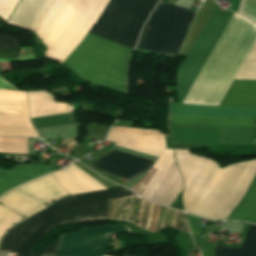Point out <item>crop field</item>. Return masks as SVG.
Wrapping results in <instances>:
<instances>
[{"instance_id":"1","label":"crop field","mask_w":256,"mask_h":256,"mask_svg":"<svg viewBox=\"0 0 256 256\" xmlns=\"http://www.w3.org/2000/svg\"><path fill=\"white\" fill-rule=\"evenodd\" d=\"M157 1L111 0L89 33L132 50ZM89 33L63 63L93 83L125 93L132 51Z\"/></svg>"},{"instance_id":"2","label":"crop field","mask_w":256,"mask_h":256,"mask_svg":"<svg viewBox=\"0 0 256 256\" xmlns=\"http://www.w3.org/2000/svg\"><path fill=\"white\" fill-rule=\"evenodd\" d=\"M175 157L184 179L185 211L209 219H226L256 173V160L219 169L189 150H175Z\"/></svg>"},{"instance_id":"3","label":"crop field","mask_w":256,"mask_h":256,"mask_svg":"<svg viewBox=\"0 0 256 256\" xmlns=\"http://www.w3.org/2000/svg\"><path fill=\"white\" fill-rule=\"evenodd\" d=\"M119 187L95 191L62 199L44 211L12 228L3 238L0 252L17 253V256L55 255L60 237L42 251L30 253L34 245L58 225L108 220L110 200L133 195Z\"/></svg>"},{"instance_id":"4","label":"crop field","mask_w":256,"mask_h":256,"mask_svg":"<svg viewBox=\"0 0 256 256\" xmlns=\"http://www.w3.org/2000/svg\"><path fill=\"white\" fill-rule=\"evenodd\" d=\"M256 40V28L232 15L183 103L219 105Z\"/></svg>"},{"instance_id":"5","label":"crop field","mask_w":256,"mask_h":256,"mask_svg":"<svg viewBox=\"0 0 256 256\" xmlns=\"http://www.w3.org/2000/svg\"><path fill=\"white\" fill-rule=\"evenodd\" d=\"M109 0H55L36 34L52 50L49 58L62 62L81 42Z\"/></svg>"},{"instance_id":"6","label":"crop field","mask_w":256,"mask_h":256,"mask_svg":"<svg viewBox=\"0 0 256 256\" xmlns=\"http://www.w3.org/2000/svg\"><path fill=\"white\" fill-rule=\"evenodd\" d=\"M195 15L188 9L159 2L153 10L136 49L176 55Z\"/></svg>"},{"instance_id":"7","label":"crop field","mask_w":256,"mask_h":256,"mask_svg":"<svg viewBox=\"0 0 256 256\" xmlns=\"http://www.w3.org/2000/svg\"><path fill=\"white\" fill-rule=\"evenodd\" d=\"M68 195L51 174L3 195L0 198V237L16 222L42 210L51 201Z\"/></svg>"},{"instance_id":"8","label":"crop field","mask_w":256,"mask_h":256,"mask_svg":"<svg viewBox=\"0 0 256 256\" xmlns=\"http://www.w3.org/2000/svg\"><path fill=\"white\" fill-rule=\"evenodd\" d=\"M228 21L229 18L213 13L210 15L177 75L180 103H182Z\"/></svg>"},{"instance_id":"9","label":"crop field","mask_w":256,"mask_h":256,"mask_svg":"<svg viewBox=\"0 0 256 256\" xmlns=\"http://www.w3.org/2000/svg\"><path fill=\"white\" fill-rule=\"evenodd\" d=\"M130 232L126 225L89 227L62 235L55 256H103L106 254L110 234Z\"/></svg>"},{"instance_id":"10","label":"crop field","mask_w":256,"mask_h":256,"mask_svg":"<svg viewBox=\"0 0 256 256\" xmlns=\"http://www.w3.org/2000/svg\"><path fill=\"white\" fill-rule=\"evenodd\" d=\"M106 140L115 142L116 146L157 157L161 148H166L163 136L157 130L112 126Z\"/></svg>"},{"instance_id":"11","label":"crop field","mask_w":256,"mask_h":256,"mask_svg":"<svg viewBox=\"0 0 256 256\" xmlns=\"http://www.w3.org/2000/svg\"><path fill=\"white\" fill-rule=\"evenodd\" d=\"M153 164L154 161L114 150L90 166L130 180L149 169Z\"/></svg>"},{"instance_id":"12","label":"crop field","mask_w":256,"mask_h":256,"mask_svg":"<svg viewBox=\"0 0 256 256\" xmlns=\"http://www.w3.org/2000/svg\"><path fill=\"white\" fill-rule=\"evenodd\" d=\"M169 113L205 117H256V107H223L170 104Z\"/></svg>"},{"instance_id":"13","label":"crop field","mask_w":256,"mask_h":256,"mask_svg":"<svg viewBox=\"0 0 256 256\" xmlns=\"http://www.w3.org/2000/svg\"><path fill=\"white\" fill-rule=\"evenodd\" d=\"M256 118H205L169 114L168 124L204 128H255Z\"/></svg>"},{"instance_id":"14","label":"crop field","mask_w":256,"mask_h":256,"mask_svg":"<svg viewBox=\"0 0 256 256\" xmlns=\"http://www.w3.org/2000/svg\"><path fill=\"white\" fill-rule=\"evenodd\" d=\"M58 169L51 165L21 164L6 171L0 168V196L7 190Z\"/></svg>"},{"instance_id":"15","label":"crop field","mask_w":256,"mask_h":256,"mask_svg":"<svg viewBox=\"0 0 256 256\" xmlns=\"http://www.w3.org/2000/svg\"><path fill=\"white\" fill-rule=\"evenodd\" d=\"M52 175L70 195L105 189L73 164L62 171L52 173Z\"/></svg>"},{"instance_id":"16","label":"crop field","mask_w":256,"mask_h":256,"mask_svg":"<svg viewBox=\"0 0 256 256\" xmlns=\"http://www.w3.org/2000/svg\"><path fill=\"white\" fill-rule=\"evenodd\" d=\"M54 0H22L9 23L36 30Z\"/></svg>"},{"instance_id":"17","label":"crop field","mask_w":256,"mask_h":256,"mask_svg":"<svg viewBox=\"0 0 256 256\" xmlns=\"http://www.w3.org/2000/svg\"><path fill=\"white\" fill-rule=\"evenodd\" d=\"M220 105L256 106V81L233 80Z\"/></svg>"},{"instance_id":"18","label":"crop field","mask_w":256,"mask_h":256,"mask_svg":"<svg viewBox=\"0 0 256 256\" xmlns=\"http://www.w3.org/2000/svg\"><path fill=\"white\" fill-rule=\"evenodd\" d=\"M173 162H174L173 150L162 149V152H161L159 158L157 159L155 164L152 166L157 169L154 172L151 179L149 180L146 187L144 188L143 192L141 193V196H143L146 199L151 200L152 196L156 192L157 188L159 187L160 183L164 179L168 170L172 166Z\"/></svg>"},{"instance_id":"19","label":"crop field","mask_w":256,"mask_h":256,"mask_svg":"<svg viewBox=\"0 0 256 256\" xmlns=\"http://www.w3.org/2000/svg\"><path fill=\"white\" fill-rule=\"evenodd\" d=\"M215 256H256V226H249L244 243L239 248L215 246Z\"/></svg>"},{"instance_id":"20","label":"crop field","mask_w":256,"mask_h":256,"mask_svg":"<svg viewBox=\"0 0 256 256\" xmlns=\"http://www.w3.org/2000/svg\"><path fill=\"white\" fill-rule=\"evenodd\" d=\"M235 209L252 214H254L256 211V176L252 181L247 193L243 196ZM251 216V214L233 210L227 219L248 221Z\"/></svg>"},{"instance_id":"21","label":"crop field","mask_w":256,"mask_h":256,"mask_svg":"<svg viewBox=\"0 0 256 256\" xmlns=\"http://www.w3.org/2000/svg\"><path fill=\"white\" fill-rule=\"evenodd\" d=\"M254 129H222L221 143H251Z\"/></svg>"},{"instance_id":"22","label":"crop field","mask_w":256,"mask_h":256,"mask_svg":"<svg viewBox=\"0 0 256 256\" xmlns=\"http://www.w3.org/2000/svg\"><path fill=\"white\" fill-rule=\"evenodd\" d=\"M235 79L256 80V43L240 68Z\"/></svg>"},{"instance_id":"23","label":"crop field","mask_w":256,"mask_h":256,"mask_svg":"<svg viewBox=\"0 0 256 256\" xmlns=\"http://www.w3.org/2000/svg\"><path fill=\"white\" fill-rule=\"evenodd\" d=\"M238 13L256 23V0H242Z\"/></svg>"},{"instance_id":"24","label":"crop field","mask_w":256,"mask_h":256,"mask_svg":"<svg viewBox=\"0 0 256 256\" xmlns=\"http://www.w3.org/2000/svg\"><path fill=\"white\" fill-rule=\"evenodd\" d=\"M19 0H0V17L8 21Z\"/></svg>"},{"instance_id":"25","label":"crop field","mask_w":256,"mask_h":256,"mask_svg":"<svg viewBox=\"0 0 256 256\" xmlns=\"http://www.w3.org/2000/svg\"><path fill=\"white\" fill-rule=\"evenodd\" d=\"M17 47L19 46L16 39L0 36V49L9 50Z\"/></svg>"},{"instance_id":"26","label":"crop field","mask_w":256,"mask_h":256,"mask_svg":"<svg viewBox=\"0 0 256 256\" xmlns=\"http://www.w3.org/2000/svg\"><path fill=\"white\" fill-rule=\"evenodd\" d=\"M192 233L201 234L200 221L198 217L186 214Z\"/></svg>"},{"instance_id":"27","label":"crop field","mask_w":256,"mask_h":256,"mask_svg":"<svg viewBox=\"0 0 256 256\" xmlns=\"http://www.w3.org/2000/svg\"><path fill=\"white\" fill-rule=\"evenodd\" d=\"M0 58L18 59V49L10 51L0 50Z\"/></svg>"},{"instance_id":"28","label":"crop field","mask_w":256,"mask_h":256,"mask_svg":"<svg viewBox=\"0 0 256 256\" xmlns=\"http://www.w3.org/2000/svg\"><path fill=\"white\" fill-rule=\"evenodd\" d=\"M250 222L256 224V213H255V215L253 216V218L250 220Z\"/></svg>"},{"instance_id":"29","label":"crop field","mask_w":256,"mask_h":256,"mask_svg":"<svg viewBox=\"0 0 256 256\" xmlns=\"http://www.w3.org/2000/svg\"><path fill=\"white\" fill-rule=\"evenodd\" d=\"M45 256H47V255H45Z\"/></svg>"}]
</instances>
